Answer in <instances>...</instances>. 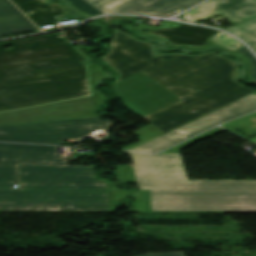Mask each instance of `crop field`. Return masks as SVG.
<instances>
[{"mask_svg": "<svg viewBox=\"0 0 256 256\" xmlns=\"http://www.w3.org/2000/svg\"><path fill=\"white\" fill-rule=\"evenodd\" d=\"M38 30L12 3L0 0V36Z\"/></svg>", "mask_w": 256, "mask_h": 256, "instance_id": "3316defc", "label": "crop field"}, {"mask_svg": "<svg viewBox=\"0 0 256 256\" xmlns=\"http://www.w3.org/2000/svg\"><path fill=\"white\" fill-rule=\"evenodd\" d=\"M122 182H135L132 164L118 165Z\"/></svg>", "mask_w": 256, "mask_h": 256, "instance_id": "4a817a6b", "label": "crop field"}, {"mask_svg": "<svg viewBox=\"0 0 256 256\" xmlns=\"http://www.w3.org/2000/svg\"><path fill=\"white\" fill-rule=\"evenodd\" d=\"M212 41L230 49V50H236L239 47L243 46L238 40L233 38L232 36L224 33V32H219L217 35H215L212 38Z\"/></svg>", "mask_w": 256, "mask_h": 256, "instance_id": "5142ce71", "label": "crop field"}, {"mask_svg": "<svg viewBox=\"0 0 256 256\" xmlns=\"http://www.w3.org/2000/svg\"><path fill=\"white\" fill-rule=\"evenodd\" d=\"M220 130L161 154L131 153L140 190L151 189L152 210L256 211V181L186 178L179 150Z\"/></svg>", "mask_w": 256, "mask_h": 256, "instance_id": "412701ff", "label": "crop field"}, {"mask_svg": "<svg viewBox=\"0 0 256 256\" xmlns=\"http://www.w3.org/2000/svg\"><path fill=\"white\" fill-rule=\"evenodd\" d=\"M65 165L56 146L0 143V210H108L103 180H95L93 166Z\"/></svg>", "mask_w": 256, "mask_h": 256, "instance_id": "34b2d1b8", "label": "crop field"}, {"mask_svg": "<svg viewBox=\"0 0 256 256\" xmlns=\"http://www.w3.org/2000/svg\"><path fill=\"white\" fill-rule=\"evenodd\" d=\"M66 1H68L70 4H72L73 7H77L83 13H87V14H90L93 16L103 14V13L99 12L98 10H96L94 7H92L90 4H88L84 0H66Z\"/></svg>", "mask_w": 256, "mask_h": 256, "instance_id": "d9b57169", "label": "crop field"}, {"mask_svg": "<svg viewBox=\"0 0 256 256\" xmlns=\"http://www.w3.org/2000/svg\"><path fill=\"white\" fill-rule=\"evenodd\" d=\"M110 120L98 117L3 125L0 126V141L65 144L63 139H79L97 129L110 128Z\"/></svg>", "mask_w": 256, "mask_h": 256, "instance_id": "dd49c442", "label": "crop field"}, {"mask_svg": "<svg viewBox=\"0 0 256 256\" xmlns=\"http://www.w3.org/2000/svg\"><path fill=\"white\" fill-rule=\"evenodd\" d=\"M103 57L119 72L125 107L166 133L256 90L234 79L236 67L215 54L154 56L152 45L120 31Z\"/></svg>", "mask_w": 256, "mask_h": 256, "instance_id": "8a807250", "label": "crop field"}, {"mask_svg": "<svg viewBox=\"0 0 256 256\" xmlns=\"http://www.w3.org/2000/svg\"><path fill=\"white\" fill-rule=\"evenodd\" d=\"M216 30L180 25L177 28L148 31V33L159 35L173 44H187L191 46H203L207 39L214 35Z\"/></svg>", "mask_w": 256, "mask_h": 256, "instance_id": "5a996713", "label": "crop field"}, {"mask_svg": "<svg viewBox=\"0 0 256 256\" xmlns=\"http://www.w3.org/2000/svg\"><path fill=\"white\" fill-rule=\"evenodd\" d=\"M135 195V201L131 203L136 207L135 213H147V212H171V213H244V212H192V211H151L150 190L139 191L137 190Z\"/></svg>", "mask_w": 256, "mask_h": 256, "instance_id": "d1516ede", "label": "crop field"}, {"mask_svg": "<svg viewBox=\"0 0 256 256\" xmlns=\"http://www.w3.org/2000/svg\"><path fill=\"white\" fill-rule=\"evenodd\" d=\"M250 141H252V142L256 143V138H254V139H252V140H250Z\"/></svg>", "mask_w": 256, "mask_h": 256, "instance_id": "92a150f3", "label": "crop field"}, {"mask_svg": "<svg viewBox=\"0 0 256 256\" xmlns=\"http://www.w3.org/2000/svg\"><path fill=\"white\" fill-rule=\"evenodd\" d=\"M255 110L256 94L252 93L166 134L148 125L133 132L139 135V141L123 149L128 151L156 153L215 125Z\"/></svg>", "mask_w": 256, "mask_h": 256, "instance_id": "f4fd0767", "label": "crop field"}, {"mask_svg": "<svg viewBox=\"0 0 256 256\" xmlns=\"http://www.w3.org/2000/svg\"><path fill=\"white\" fill-rule=\"evenodd\" d=\"M75 48L86 65L55 34L0 44V125L96 116L92 86L106 74Z\"/></svg>", "mask_w": 256, "mask_h": 256, "instance_id": "ac0d7876", "label": "crop field"}, {"mask_svg": "<svg viewBox=\"0 0 256 256\" xmlns=\"http://www.w3.org/2000/svg\"><path fill=\"white\" fill-rule=\"evenodd\" d=\"M142 256H183V253L182 252L161 253V254L142 255Z\"/></svg>", "mask_w": 256, "mask_h": 256, "instance_id": "214f88e0", "label": "crop field"}, {"mask_svg": "<svg viewBox=\"0 0 256 256\" xmlns=\"http://www.w3.org/2000/svg\"><path fill=\"white\" fill-rule=\"evenodd\" d=\"M256 117V112L253 113V114H250L248 116H245L243 118H240V119H237V120H234V121H231V122H228L224 125H222L223 128H226V127H229V126H233L239 122H242V121H245V120H248V119H252V118H255Z\"/></svg>", "mask_w": 256, "mask_h": 256, "instance_id": "bc2a9ffb", "label": "crop field"}, {"mask_svg": "<svg viewBox=\"0 0 256 256\" xmlns=\"http://www.w3.org/2000/svg\"><path fill=\"white\" fill-rule=\"evenodd\" d=\"M107 186L108 193V205L109 211H0V212H115L118 207V203L129 196L128 192L117 190V187L113 184L107 183L104 179Z\"/></svg>", "mask_w": 256, "mask_h": 256, "instance_id": "cbeb9de0", "label": "crop field"}, {"mask_svg": "<svg viewBox=\"0 0 256 256\" xmlns=\"http://www.w3.org/2000/svg\"><path fill=\"white\" fill-rule=\"evenodd\" d=\"M236 51L242 56H244V58L248 61L250 65V76L256 79V58L244 46Z\"/></svg>", "mask_w": 256, "mask_h": 256, "instance_id": "733c2abd", "label": "crop field"}, {"mask_svg": "<svg viewBox=\"0 0 256 256\" xmlns=\"http://www.w3.org/2000/svg\"><path fill=\"white\" fill-rule=\"evenodd\" d=\"M256 93V92H255Z\"/></svg>", "mask_w": 256, "mask_h": 256, "instance_id": "dafd665d", "label": "crop field"}, {"mask_svg": "<svg viewBox=\"0 0 256 256\" xmlns=\"http://www.w3.org/2000/svg\"><path fill=\"white\" fill-rule=\"evenodd\" d=\"M221 13L237 24L256 17V0H211L183 14L194 22Z\"/></svg>", "mask_w": 256, "mask_h": 256, "instance_id": "d8731c3e", "label": "crop field"}, {"mask_svg": "<svg viewBox=\"0 0 256 256\" xmlns=\"http://www.w3.org/2000/svg\"><path fill=\"white\" fill-rule=\"evenodd\" d=\"M104 13L174 15L203 0H88Z\"/></svg>", "mask_w": 256, "mask_h": 256, "instance_id": "e52e79f7", "label": "crop field"}, {"mask_svg": "<svg viewBox=\"0 0 256 256\" xmlns=\"http://www.w3.org/2000/svg\"><path fill=\"white\" fill-rule=\"evenodd\" d=\"M248 42L256 52V19L224 29Z\"/></svg>", "mask_w": 256, "mask_h": 256, "instance_id": "22f410ed", "label": "crop field"}, {"mask_svg": "<svg viewBox=\"0 0 256 256\" xmlns=\"http://www.w3.org/2000/svg\"><path fill=\"white\" fill-rule=\"evenodd\" d=\"M23 13L28 12V17L37 25H46L55 23L54 16L65 14L66 12L60 5L52 3L46 6V0H12Z\"/></svg>", "mask_w": 256, "mask_h": 256, "instance_id": "28ad6ade", "label": "crop field"}]
</instances>
